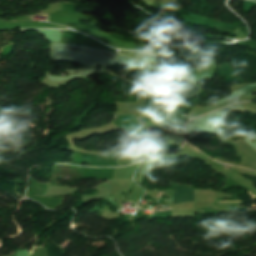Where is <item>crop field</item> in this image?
<instances>
[{
	"mask_svg": "<svg viewBox=\"0 0 256 256\" xmlns=\"http://www.w3.org/2000/svg\"><path fill=\"white\" fill-rule=\"evenodd\" d=\"M195 190H191L188 186H175L173 204H178L186 201H193Z\"/></svg>",
	"mask_w": 256,
	"mask_h": 256,
	"instance_id": "obj_2",
	"label": "crop field"
},
{
	"mask_svg": "<svg viewBox=\"0 0 256 256\" xmlns=\"http://www.w3.org/2000/svg\"><path fill=\"white\" fill-rule=\"evenodd\" d=\"M199 89L200 88L189 83H187V85H180L177 83V85L173 89L174 94H166L171 99L172 105L177 107L179 103L195 95L199 91Z\"/></svg>",
	"mask_w": 256,
	"mask_h": 256,
	"instance_id": "obj_1",
	"label": "crop field"
},
{
	"mask_svg": "<svg viewBox=\"0 0 256 256\" xmlns=\"http://www.w3.org/2000/svg\"><path fill=\"white\" fill-rule=\"evenodd\" d=\"M225 202H235V201H225ZM217 203H222L221 199H217ZM230 204H242V202L239 200H236V203H230Z\"/></svg>",
	"mask_w": 256,
	"mask_h": 256,
	"instance_id": "obj_5",
	"label": "crop field"
},
{
	"mask_svg": "<svg viewBox=\"0 0 256 256\" xmlns=\"http://www.w3.org/2000/svg\"><path fill=\"white\" fill-rule=\"evenodd\" d=\"M254 90H256V84H248V85H246V86H244V87H242V88H240V89H238V90L232 92V94H233V93H236V92L242 93V94H248V93L253 92ZM236 98H237V97H236ZM233 99H235V98H233ZM233 99H230V100H233ZM230 100H228V101H230ZM226 102H227V101H226ZM224 103H225V102H224ZM222 104H223V103H222Z\"/></svg>",
	"mask_w": 256,
	"mask_h": 256,
	"instance_id": "obj_3",
	"label": "crop field"
},
{
	"mask_svg": "<svg viewBox=\"0 0 256 256\" xmlns=\"http://www.w3.org/2000/svg\"><path fill=\"white\" fill-rule=\"evenodd\" d=\"M144 46H147V45L144 44L140 39L137 38L132 49H136V50H141L142 51Z\"/></svg>",
	"mask_w": 256,
	"mask_h": 256,
	"instance_id": "obj_4",
	"label": "crop field"
}]
</instances>
